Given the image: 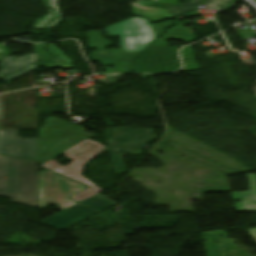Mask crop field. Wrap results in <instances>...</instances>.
Here are the masks:
<instances>
[{
  "label": "crop field",
  "mask_w": 256,
  "mask_h": 256,
  "mask_svg": "<svg viewBox=\"0 0 256 256\" xmlns=\"http://www.w3.org/2000/svg\"><path fill=\"white\" fill-rule=\"evenodd\" d=\"M0 155L38 160L37 139L19 140L18 130H0Z\"/></svg>",
  "instance_id": "obj_8"
},
{
  "label": "crop field",
  "mask_w": 256,
  "mask_h": 256,
  "mask_svg": "<svg viewBox=\"0 0 256 256\" xmlns=\"http://www.w3.org/2000/svg\"><path fill=\"white\" fill-rule=\"evenodd\" d=\"M203 0H185L183 3L174 6L169 9L170 12L179 16L181 14H185L196 8V5L199 4ZM235 1L240 0H206L203 5L215 8L217 10H223L230 7Z\"/></svg>",
  "instance_id": "obj_11"
},
{
  "label": "crop field",
  "mask_w": 256,
  "mask_h": 256,
  "mask_svg": "<svg viewBox=\"0 0 256 256\" xmlns=\"http://www.w3.org/2000/svg\"><path fill=\"white\" fill-rule=\"evenodd\" d=\"M177 21L174 27L167 29L163 35L164 29L173 25L175 21L151 25L156 37L163 35L137 59L133 73H162L173 72L181 68L177 47L169 46L165 41L167 39H180L187 43L196 41L192 28H183L182 23Z\"/></svg>",
  "instance_id": "obj_1"
},
{
  "label": "crop field",
  "mask_w": 256,
  "mask_h": 256,
  "mask_svg": "<svg viewBox=\"0 0 256 256\" xmlns=\"http://www.w3.org/2000/svg\"><path fill=\"white\" fill-rule=\"evenodd\" d=\"M250 185L249 192H232L233 200H240L234 203L236 211L256 212V175L248 174Z\"/></svg>",
  "instance_id": "obj_10"
},
{
  "label": "crop field",
  "mask_w": 256,
  "mask_h": 256,
  "mask_svg": "<svg viewBox=\"0 0 256 256\" xmlns=\"http://www.w3.org/2000/svg\"><path fill=\"white\" fill-rule=\"evenodd\" d=\"M134 13L137 16L145 17L151 23L159 22L163 19L175 18L167 9L179 4L178 0H156L148 2L131 3Z\"/></svg>",
  "instance_id": "obj_9"
},
{
  "label": "crop field",
  "mask_w": 256,
  "mask_h": 256,
  "mask_svg": "<svg viewBox=\"0 0 256 256\" xmlns=\"http://www.w3.org/2000/svg\"><path fill=\"white\" fill-rule=\"evenodd\" d=\"M36 62V53L32 55H27L21 59L15 58L14 56H9L2 60L0 67H3L0 70V77L5 76L9 73H12L16 70H19L31 63Z\"/></svg>",
  "instance_id": "obj_12"
},
{
  "label": "crop field",
  "mask_w": 256,
  "mask_h": 256,
  "mask_svg": "<svg viewBox=\"0 0 256 256\" xmlns=\"http://www.w3.org/2000/svg\"><path fill=\"white\" fill-rule=\"evenodd\" d=\"M104 150H106V147L87 139L83 143L62 153L68 158L74 160L69 165L65 167L58 165L54 160L58 158L60 156L59 155L41 166L89 185V189L71 197L72 199L81 202L103 191L83 177L81 172L85 163Z\"/></svg>",
  "instance_id": "obj_3"
},
{
  "label": "crop field",
  "mask_w": 256,
  "mask_h": 256,
  "mask_svg": "<svg viewBox=\"0 0 256 256\" xmlns=\"http://www.w3.org/2000/svg\"><path fill=\"white\" fill-rule=\"evenodd\" d=\"M105 32L111 37L120 36V47L125 52H141L156 39L148 21L138 17L113 24Z\"/></svg>",
  "instance_id": "obj_6"
},
{
  "label": "crop field",
  "mask_w": 256,
  "mask_h": 256,
  "mask_svg": "<svg viewBox=\"0 0 256 256\" xmlns=\"http://www.w3.org/2000/svg\"><path fill=\"white\" fill-rule=\"evenodd\" d=\"M116 130L107 129L105 136L111 163L115 167L116 174H118L126 172L122 154L142 155L141 147L157 138L153 134V129L123 128L119 130L112 147H110L109 144Z\"/></svg>",
  "instance_id": "obj_4"
},
{
  "label": "crop field",
  "mask_w": 256,
  "mask_h": 256,
  "mask_svg": "<svg viewBox=\"0 0 256 256\" xmlns=\"http://www.w3.org/2000/svg\"><path fill=\"white\" fill-rule=\"evenodd\" d=\"M81 203L99 212L116 204V202L111 201L100 194ZM96 213L97 212L78 203L43 220L42 222L62 231Z\"/></svg>",
  "instance_id": "obj_7"
},
{
  "label": "crop field",
  "mask_w": 256,
  "mask_h": 256,
  "mask_svg": "<svg viewBox=\"0 0 256 256\" xmlns=\"http://www.w3.org/2000/svg\"><path fill=\"white\" fill-rule=\"evenodd\" d=\"M248 232L251 234V236L256 240V229H250Z\"/></svg>",
  "instance_id": "obj_15"
},
{
  "label": "crop field",
  "mask_w": 256,
  "mask_h": 256,
  "mask_svg": "<svg viewBox=\"0 0 256 256\" xmlns=\"http://www.w3.org/2000/svg\"><path fill=\"white\" fill-rule=\"evenodd\" d=\"M48 4L51 8H54L56 13H57V18L49 25L47 24L53 17H54V12L51 9H48L45 0H43L44 4L46 5L47 9L49 10L50 14L41 17L39 19H37L34 23V28H43L46 24L49 25L47 28L49 27H55L60 21H61V17H60V13H59V9H58V5L57 2H59L60 0H47Z\"/></svg>",
  "instance_id": "obj_13"
},
{
  "label": "crop field",
  "mask_w": 256,
  "mask_h": 256,
  "mask_svg": "<svg viewBox=\"0 0 256 256\" xmlns=\"http://www.w3.org/2000/svg\"><path fill=\"white\" fill-rule=\"evenodd\" d=\"M0 196L39 207L37 162L0 156Z\"/></svg>",
  "instance_id": "obj_2"
},
{
  "label": "crop field",
  "mask_w": 256,
  "mask_h": 256,
  "mask_svg": "<svg viewBox=\"0 0 256 256\" xmlns=\"http://www.w3.org/2000/svg\"><path fill=\"white\" fill-rule=\"evenodd\" d=\"M35 68H36V64L33 65V66H30V67H28V68H26V69H24V70H22V71H20V72H18V73H15V74H13V75H10V76L6 77V78L3 79V80H4L6 83L9 84L13 79H15V78H17V77H19V76H21V75H23V74H25V73L31 71V70H33V69H35Z\"/></svg>",
  "instance_id": "obj_14"
},
{
  "label": "crop field",
  "mask_w": 256,
  "mask_h": 256,
  "mask_svg": "<svg viewBox=\"0 0 256 256\" xmlns=\"http://www.w3.org/2000/svg\"><path fill=\"white\" fill-rule=\"evenodd\" d=\"M86 188L66 177L48 170L39 173V201L40 208L48 204H55L58 210H64L77 202L67 197Z\"/></svg>",
  "instance_id": "obj_5"
}]
</instances>
